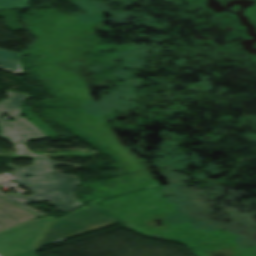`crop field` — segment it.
Wrapping results in <instances>:
<instances>
[{"mask_svg":"<svg viewBox=\"0 0 256 256\" xmlns=\"http://www.w3.org/2000/svg\"><path fill=\"white\" fill-rule=\"evenodd\" d=\"M14 147L16 149V155L33 156L34 163L27 167H16L8 163L7 165L15 170L12 174V179L34 191V194L32 197H24L15 194L5 195L0 192V196L40 216L44 214L25 205L31 201L45 199H48L60 211H70L82 205L74 196V189L79 183L80 178L57 173L54 171V166L66 165L78 168L82 167L69 163L53 162L49 158L36 156L25 149L23 142L14 144ZM43 168H46V170H43ZM26 174H30L32 177L27 178L25 177Z\"/></svg>","mask_w":256,"mask_h":256,"instance_id":"8a807250","label":"crop field"},{"mask_svg":"<svg viewBox=\"0 0 256 256\" xmlns=\"http://www.w3.org/2000/svg\"><path fill=\"white\" fill-rule=\"evenodd\" d=\"M6 92L9 98L0 101V136L12 144L46 136L20 114L21 103L28 95ZM1 113H9L16 120L8 122L2 118Z\"/></svg>","mask_w":256,"mask_h":256,"instance_id":"ac0d7876","label":"crop field"},{"mask_svg":"<svg viewBox=\"0 0 256 256\" xmlns=\"http://www.w3.org/2000/svg\"><path fill=\"white\" fill-rule=\"evenodd\" d=\"M53 219L48 216L0 232V256H35L31 249Z\"/></svg>","mask_w":256,"mask_h":256,"instance_id":"34b2d1b8","label":"crop field"},{"mask_svg":"<svg viewBox=\"0 0 256 256\" xmlns=\"http://www.w3.org/2000/svg\"><path fill=\"white\" fill-rule=\"evenodd\" d=\"M39 216L0 197V231Z\"/></svg>","mask_w":256,"mask_h":256,"instance_id":"412701ff","label":"crop field"},{"mask_svg":"<svg viewBox=\"0 0 256 256\" xmlns=\"http://www.w3.org/2000/svg\"><path fill=\"white\" fill-rule=\"evenodd\" d=\"M20 56V54L0 49V69L12 72H22L19 67Z\"/></svg>","mask_w":256,"mask_h":256,"instance_id":"f4fd0767","label":"crop field"},{"mask_svg":"<svg viewBox=\"0 0 256 256\" xmlns=\"http://www.w3.org/2000/svg\"><path fill=\"white\" fill-rule=\"evenodd\" d=\"M28 7L27 0H0V8Z\"/></svg>","mask_w":256,"mask_h":256,"instance_id":"dd49c442","label":"crop field"},{"mask_svg":"<svg viewBox=\"0 0 256 256\" xmlns=\"http://www.w3.org/2000/svg\"><path fill=\"white\" fill-rule=\"evenodd\" d=\"M4 182L1 178H0V183Z\"/></svg>","mask_w":256,"mask_h":256,"instance_id":"e52e79f7","label":"crop field"}]
</instances>
